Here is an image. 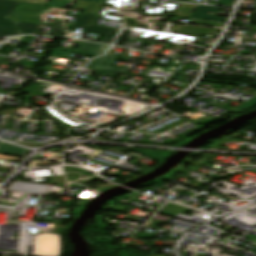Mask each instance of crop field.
<instances>
[{
  "instance_id": "13",
  "label": "crop field",
  "mask_w": 256,
  "mask_h": 256,
  "mask_svg": "<svg viewBox=\"0 0 256 256\" xmlns=\"http://www.w3.org/2000/svg\"><path fill=\"white\" fill-rule=\"evenodd\" d=\"M64 32L62 31H55L51 30V32L48 34V36H61Z\"/></svg>"
},
{
  "instance_id": "6",
  "label": "crop field",
  "mask_w": 256,
  "mask_h": 256,
  "mask_svg": "<svg viewBox=\"0 0 256 256\" xmlns=\"http://www.w3.org/2000/svg\"><path fill=\"white\" fill-rule=\"evenodd\" d=\"M30 150L0 142V154L24 157Z\"/></svg>"
},
{
  "instance_id": "9",
  "label": "crop field",
  "mask_w": 256,
  "mask_h": 256,
  "mask_svg": "<svg viewBox=\"0 0 256 256\" xmlns=\"http://www.w3.org/2000/svg\"><path fill=\"white\" fill-rule=\"evenodd\" d=\"M72 0H63L62 2H58V1H50L49 6L50 7H56V8H60L63 9L65 3H71Z\"/></svg>"
},
{
  "instance_id": "3",
  "label": "crop field",
  "mask_w": 256,
  "mask_h": 256,
  "mask_svg": "<svg viewBox=\"0 0 256 256\" xmlns=\"http://www.w3.org/2000/svg\"><path fill=\"white\" fill-rule=\"evenodd\" d=\"M76 42L81 43L80 48L78 49L58 48L57 50L54 51L52 56L65 58L69 52L83 54V55L97 56L102 54L108 48V46H105V45L86 43V42H80V41H76ZM62 51H65V53H63Z\"/></svg>"
},
{
  "instance_id": "7",
  "label": "crop field",
  "mask_w": 256,
  "mask_h": 256,
  "mask_svg": "<svg viewBox=\"0 0 256 256\" xmlns=\"http://www.w3.org/2000/svg\"><path fill=\"white\" fill-rule=\"evenodd\" d=\"M132 150L140 154H143L153 160L159 158L162 154L165 153L164 151H155V150H142V149H132Z\"/></svg>"
},
{
  "instance_id": "5",
  "label": "crop field",
  "mask_w": 256,
  "mask_h": 256,
  "mask_svg": "<svg viewBox=\"0 0 256 256\" xmlns=\"http://www.w3.org/2000/svg\"><path fill=\"white\" fill-rule=\"evenodd\" d=\"M216 7L199 5L191 18L227 22L228 18L206 15L207 12H214Z\"/></svg>"
},
{
  "instance_id": "4",
  "label": "crop field",
  "mask_w": 256,
  "mask_h": 256,
  "mask_svg": "<svg viewBox=\"0 0 256 256\" xmlns=\"http://www.w3.org/2000/svg\"><path fill=\"white\" fill-rule=\"evenodd\" d=\"M117 57V54L107 53L104 57L95 59L90 62L86 68L114 74H127L128 70L125 68L109 66L114 60H116Z\"/></svg>"
},
{
  "instance_id": "1",
  "label": "crop field",
  "mask_w": 256,
  "mask_h": 256,
  "mask_svg": "<svg viewBox=\"0 0 256 256\" xmlns=\"http://www.w3.org/2000/svg\"><path fill=\"white\" fill-rule=\"evenodd\" d=\"M19 3L0 0V36L35 34L40 24L7 20Z\"/></svg>"
},
{
  "instance_id": "10",
  "label": "crop field",
  "mask_w": 256,
  "mask_h": 256,
  "mask_svg": "<svg viewBox=\"0 0 256 256\" xmlns=\"http://www.w3.org/2000/svg\"><path fill=\"white\" fill-rule=\"evenodd\" d=\"M12 1L48 6L46 0H12Z\"/></svg>"
},
{
  "instance_id": "12",
  "label": "crop field",
  "mask_w": 256,
  "mask_h": 256,
  "mask_svg": "<svg viewBox=\"0 0 256 256\" xmlns=\"http://www.w3.org/2000/svg\"><path fill=\"white\" fill-rule=\"evenodd\" d=\"M234 0H221L219 5L232 6Z\"/></svg>"
},
{
  "instance_id": "14",
  "label": "crop field",
  "mask_w": 256,
  "mask_h": 256,
  "mask_svg": "<svg viewBox=\"0 0 256 256\" xmlns=\"http://www.w3.org/2000/svg\"><path fill=\"white\" fill-rule=\"evenodd\" d=\"M84 1L95 3L97 0H84Z\"/></svg>"
},
{
  "instance_id": "8",
  "label": "crop field",
  "mask_w": 256,
  "mask_h": 256,
  "mask_svg": "<svg viewBox=\"0 0 256 256\" xmlns=\"http://www.w3.org/2000/svg\"><path fill=\"white\" fill-rule=\"evenodd\" d=\"M254 105H256V97L250 99L249 101H247V102H245V103H243V104H241V105H239V106H237V107H235L231 110H233L235 112H239V111L246 110V109H248V108H250Z\"/></svg>"
},
{
  "instance_id": "11",
  "label": "crop field",
  "mask_w": 256,
  "mask_h": 256,
  "mask_svg": "<svg viewBox=\"0 0 256 256\" xmlns=\"http://www.w3.org/2000/svg\"><path fill=\"white\" fill-rule=\"evenodd\" d=\"M53 29L65 31L64 27H63V24H62V22L60 20H57V22L54 25Z\"/></svg>"
},
{
  "instance_id": "2",
  "label": "crop field",
  "mask_w": 256,
  "mask_h": 256,
  "mask_svg": "<svg viewBox=\"0 0 256 256\" xmlns=\"http://www.w3.org/2000/svg\"><path fill=\"white\" fill-rule=\"evenodd\" d=\"M97 18H98L97 16H92V15H86V14L81 15L79 17V21H78L76 27L69 30V33L71 34L72 32H76L77 29L79 27H81V28H84L82 30L83 32L104 35L103 38L100 40V42L111 44L114 37L116 36L118 30L92 25L96 21Z\"/></svg>"
}]
</instances>
